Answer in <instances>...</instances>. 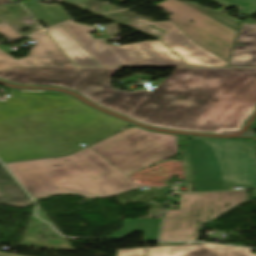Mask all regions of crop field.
Wrapping results in <instances>:
<instances>
[{
    "mask_svg": "<svg viewBox=\"0 0 256 256\" xmlns=\"http://www.w3.org/2000/svg\"><path fill=\"white\" fill-rule=\"evenodd\" d=\"M120 68L13 67L0 80L73 91L145 125L235 134L256 109V69L177 68L152 93L108 85Z\"/></svg>",
    "mask_w": 256,
    "mask_h": 256,
    "instance_id": "8a807250",
    "label": "crop field"
},
{
    "mask_svg": "<svg viewBox=\"0 0 256 256\" xmlns=\"http://www.w3.org/2000/svg\"><path fill=\"white\" fill-rule=\"evenodd\" d=\"M5 165L33 198L58 193L110 196L139 187L89 147L65 157ZM60 177L71 183L59 184Z\"/></svg>",
    "mask_w": 256,
    "mask_h": 256,
    "instance_id": "ac0d7876",
    "label": "crop field"
},
{
    "mask_svg": "<svg viewBox=\"0 0 256 256\" xmlns=\"http://www.w3.org/2000/svg\"><path fill=\"white\" fill-rule=\"evenodd\" d=\"M186 181L195 191L256 188L254 141L191 136L183 155Z\"/></svg>",
    "mask_w": 256,
    "mask_h": 256,
    "instance_id": "34b2d1b8",
    "label": "crop field"
},
{
    "mask_svg": "<svg viewBox=\"0 0 256 256\" xmlns=\"http://www.w3.org/2000/svg\"><path fill=\"white\" fill-rule=\"evenodd\" d=\"M53 131L36 113L0 120L3 162L64 155L83 148Z\"/></svg>",
    "mask_w": 256,
    "mask_h": 256,
    "instance_id": "412701ff",
    "label": "crop field"
},
{
    "mask_svg": "<svg viewBox=\"0 0 256 256\" xmlns=\"http://www.w3.org/2000/svg\"><path fill=\"white\" fill-rule=\"evenodd\" d=\"M13 96L17 97L12 91ZM57 131L90 145L131 124L62 93L32 106Z\"/></svg>",
    "mask_w": 256,
    "mask_h": 256,
    "instance_id": "f4fd0767",
    "label": "crop field"
},
{
    "mask_svg": "<svg viewBox=\"0 0 256 256\" xmlns=\"http://www.w3.org/2000/svg\"><path fill=\"white\" fill-rule=\"evenodd\" d=\"M178 137L180 136L135 127L90 147L122 172L130 175L175 155L178 150Z\"/></svg>",
    "mask_w": 256,
    "mask_h": 256,
    "instance_id": "dd49c442",
    "label": "crop field"
},
{
    "mask_svg": "<svg viewBox=\"0 0 256 256\" xmlns=\"http://www.w3.org/2000/svg\"><path fill=\"white\" fill-rule=\"evenodd\" d=\"M63 27L100 66H189L162 41L112 46L94 39L89 34L96 30L93 27L72 22Z\"/></svg>",
    "mask_w": 256,
    "mask_h": 256,
    "instance_id": "e52e79f7",
    "label": "crop field"
},
{
    "mask_svg": "<svg viewBox=\"0 0 256 256\" xmlns=\"http://www.w3.org/2000/svg\"><path fill=\"white\" fill-rule=\"evenodd\" d=\"M247 198L246 191L181 195L178 210H167L165 214L159 240L196 241L200 224Z\"/></svg>",
    "mask_w": 256,
    "mask_h": 256,
    "instance_id": "d8731c3e",
    "label": "crop field"
},
{
    "mask_svg": "<svg viewBox=\"0 0 256 256\" xmlns=\"http://www.w3.org/2000/svg\"><path fill=\"white\" fill-rule=\"evenodd\" d=\"M155 6L170 13L168 17L196 44L229 59L237 33L178 0H164Z\"/></svg>",
    "mask_w": 256,
    "mask_h": 256,
    "instance_id": "5a996713",
    "label": "crop field"
},
{
    "mask_svg": "<svg viewBox=\"0 0 256 256\" xmlns=\"http://www.w3.org/2000/svg\"><path fill=\"white\" fill-rule=\"evenodd\" d=\"M146 26L153 25L161 30H167L166 36L161 39L171 50L175 51L190 66L226 67L227 62L196 45L174 23H151L142 19L135 20ZM182 35L184 38H179ZM182 43H186L183 45ZM191 45V47H188Z\"/></svg>",
    "mask_w": 256,
    "mask_h": 256,
    "instance_id": "3316defc",
    "label": "crop field"
},
{
    "mask_svg": "<svg viewBox=\"0 0 256 256\" xmlns=\"http://www.w3.org/2000/svg\"><path fill=\"white\" fill-rule=\"evenodd\" d=\"M30 37L36 41L32 56L15 60L0 50V70L12 66H74L45 32Z\"/></svg>",
    "mask_w": 256,
    "mask_h": 256,
    "instance_id": "28ad6ade",
    "label": "crop field"
},
{
    "mask_svg": "<svg viewBox=\"0 0 256 256\" xmlns=\"http://www.w3.org/2000/svg\"><path fill=\"white\" fill-rule=\"evenodd\" d=\"M147 256H256L251 249L202 244L149 248Z\"/></svg>",
    "mask_w": 256,
    "mask_h": 256,
    "instance_id": "d1516ede",
    "label": "crop field"
},
{
    "mask_svg": "<svg viewBox=\"0 0 256 256\" xmlns=\"http://www.w3.org/2000/svg\"><path fill=\"white\" fill-rule=\"evenodd\" d=\"M229 66H256V24H243Z\"/></svg>",
    "mask_w": 256,
    "mask_h": 256,
    "instance_id": "22f410ed",
    "label": "crop field"
},
{
    "mask_svg": "<svg viewBox=\"0 0 256 256\" xmlns=\"http://www.w3.org/2000/svg\"><path fill=\"white\" fill-rule=\"evenodd\" d=\"M47 32L78 66H99L62 26L47 30Z\"/></svg>",
    "mask_w": 256,
    "mask_h": 256,
    "instance_id": "cbeb9de0",
    "label": "crop field"
},
{
    "mask_svg": "<svg viewBox=\"0 0 256 256\" xmlns=\"http://www.w3.org/2000/svg\"><path fill=\"white\" fill-rule=\"evenodd\" d=\"M36 20L48 27L71 20L58 4L22 3Z\"/></svg>",
    "mask_w": 256,
    "mask_h": 256,
    "instance_id": "5142ce71",
    "label": "crop field"
},
{
    "mask_svg": "<svg viewBox=\"0 0 256 256\" xmlns=\"http://www.w3.org/2000/svg\"><path fill=\"white\" fill-rule=\"evenodd\" d=\"M1 204L22 208L34 203L18 184H12L0 186Z\"/></svg>",
    "mask_w": 256,
    "mask_h": 256,
    "instance_id": "d9b57169",
    "label": "crop field"
},
{
    "mask_svg": "<svg viewBox=\"0 0 256 256\" xmlns=\"http://www.w3.org/2000/svg\"><path fill=\"white\" fill-rule=\"evenodd\" d=\"M186 4H188L189 6L195 8L196 10L202 12L203 14L209 16L210 18L216 20L217 22L223 24L224 26L230 28L231 30L235 31V32H238V29H239V25L240 23L219 13V12H216V11H212V10H208V9H205V8H201L191 2H186Z\"/></svg>",
    "mask_w": 256,
    "mask_h": 256,
    "instance_id": "733c2abd",
    "label": "crop field"
},
{
    "mask_svg": "<svg viewBox=\"0 0 256 256\" xmlns=\"http://www.w3.org/2000/svg\"><path fill=\"white\" fill-rule=\"evenodd\" d=\"M246 9L245 15H252L256 12V0H229ZM250 18L245 23H254Z\"/></svg>",
    "mask_w": 256,
    "mask_h": 256,
    "instance_id": "4a817a6b",
    "label": "crop field"
},
{
    "mask_svg": "<svg viewBox=\"0 0 256 256\" xmlns=\"http://www.w3.org/2000/svg\"><path fill=\"white\" fill-rule=\"evenodd\" d=\"M0 34L3 35L8 40L21 37V35H19L17 32H15L12 28H10L5 23L0 24Z\"/></svg>",
    "mask_w": 256,
    "mask_h": 256,
    "instance_id": "bc2a9ffb",
    "label": "crop field"
},
{
    "mask_svg": "<svg viewBox=\"0 0 256 256\" xmlns=\"http://www.w3.org/2000/svg\"><path fill=\"white\" fill-rule=\"evenodd\" d=\"M127 25L132 26V27H134V28H137V29H139V30L145 31V32H147V33H150V34H152V35H154V36H161V37L163 38L164 35H165V34L162 33V32H159V31H157V30H154V29H151V28H149V27H146V26H144V25H142V24H139V23H137V22H135V21H133V22L127 24Z\"/></svg>",
    "mask_w": 256,
    "mask_h": 256,
    "instance_id": "214f88e0",
    "label": "crop field"
},
{
    "mask_svg": "<svg viewBox=\"0 0 256 256\" xmlns=\"http://www.w3.org/2000/svg\"><path fill=\"white\" fill-rule=\"evenodd\" d=\"M16 183L9 173L0 164V185Z\"/></svg>",
    "mask_w": 256,
    "mask_h": 256,
    "instance_id": "92a150f3",
    "label": "crop field"
},
{
    "mask_svg": "<svg viewBox=\"0 0 256 256\" xmlns=\"http://www.w3.org/2000/svg\"><path fill=\"white\" fill-rule=\"evenodd\" d=\"M145 248L120 250L119 256H143Z\"/></svg>",
    "mask_w": 256,
    "mask_h": 256,
    "instance_id": "dafd665d",
    "label": "crop field"
},
{
    "mask_svg": "<svg viewBox=\"0 0 256 256\" xmlns=\"http://www.w3.org/2000/svg\"><path fill=\"white\" fill-rule=\"evenodd\" d=\"M106 27V33L107 35H119L118 26L117 24H111L107 25Z\"/></svg>",
    "mask_w": 256,
    "mask_h": 256,
    "instance_id": "00972430",
    "label": "crop field"
},
{
    "mask_svg": "<svg viewBox=\"0 0 256 256\" xmlns=\"http://www.w3.org/2000/svg\"><path fill=\"white\" fill-rule=\"evenodd\" d=\"M183 245L182 243H159V246Z\"/></svg>",
    "mask_w": 256,
    "mask_h": 256,
    "instance_id": "a9b5d70f",
    "label": "crop field"
},
{
    "mask_svg": "<svg viewBox=\"0 0 256 256\" xmlns=\"http://www.w3.org/2000/svg\"><path fill=\"white\" fill-rule=\"evenodd\" d=\"M186 186H188L187 192H193L192 183L186 182ZM179 193H183V192H179Z\"/></svg>",
    "mask_w": 256,
    "mask_h": 256,
    "instance_id": "4177f3b9",
    "label": "crop field"
},
{
    "mask_svg": "<svg viewBox=\"0 0 256 256\" xmlns=\"http://www.w3.org/2000/svg\"><path fill=\"white\" fill-rule=\"evenodd\" d=\"M7 3H13L11 0H0V5L7 4Z\"/></svg>",
    "mask_w": 256,
    "mask_h": 256,
    "instance_id": "730fd06b",
    "label": "crop field"
},
{
    "mask_svg": "<svg viewBox=\"0 0 256 256\" xmlns=\"http://www.w3.org/2000/svg\"><path fill=\"white\" fill-rule=\"evenodd\" d=\"M58 182L64 184L68 183L69 181L66 178H61Z\"/></svg>",
    "mask_w": 256,
    "mask_h": 256,
    "instance_id": "eef30255",
    "label": "crop field"
},
{
    "mask_svg": "<svg viewBox=\"0 0 256 256\" xmlns=\"http://www.w3.org/2000/svg\"><path fill=\"white\" fill-rule=\"evenodd\" d=\"M80 1H83V0H69V1L62 2V3H71V2L77 3Z\"/></svg>",
    "mask_w": 256,
    "mask_h": 256,
    "instance_id": "ae1a2a85",
    "label": "crop field"
},
{
    "mask_svg": "<svg viewBox=\"0 0 256 256\" xmlns=\"http://www.w3.org/2000/svg\"><path fill=\"white\" fill-rule=\"evenodd\" d=\"M110 7H111V6H106V7H104V11H105V12L110 11Z\"/></svg>",
    "mask_w": 256,
    "mask_h": 256,
    "instance_id": "d3111659",
    "label": "crop field"
},
{
    "mask_svg": "<svg viewBox=\"0 0 256 256\" xmlns=\"http://www.w3.org/2000/svg\"><path fill=\"white\" fill-rule=\"evenodd\" d=\"M251 128H256V119H255L253 125L251 126Z\"/></svg>",
    "mask_w": 256,
    "mask_h": 256,
    "instance_id": "750c4746",
    "label": "crop field"
},
{
    "mask_svg": "<svg viewBox=\"0 0 256 256\" xmlns=\"http://www.w3.org/2000/svg\"><path fill=\"white\" fill-rule=\"evenodd\" d=\"M253 196H254V198H256V190H254Z\"/></svg>",
    "mask_w": 256,
    "mask_h": 256,
    "instance_id": "bd1437ed",
    "label": "crop field"
},
{
    "mask_svg": "<svg viewBox=\"0 0 256 256\" xmlns=\"http://www.w3.org/2000/svg\"><path fill=\"white\" fill-rule=\"evenodd\" d=\"M0 256H10V255L0 254Z\"/></svg>",
    "mask_w": 256,
    "mask_h": 256,
    "instance_id": "1d83c4d3",
    "label": "crop field"
},
{
    "mask_svg": "<svg viewBox=\"0 0 256 256\" xmlns=\"http://www.w3.org/2000/svg\"><path fill=\"white\" fill-rule=\"evenodd\" d=\"M120 2H122V1H126V0H119Z\"/></svg>",
    "mask_w": 256,
    "mask_h": 256,
    "instance_id": "120bbe31",
    "label": "crop field"
}]
</instances>
